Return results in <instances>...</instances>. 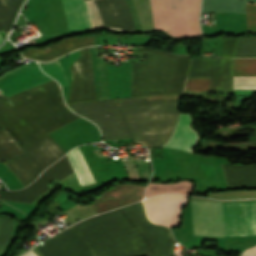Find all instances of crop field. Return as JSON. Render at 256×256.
Returning a JSON list of instances; mask_svg holds the SVG:
<instances>
[{"instance_id":"1","label":"crop field","mask_w":256,"mask_h":256,"mask_svg":"<svg viewBox=\"0 0 256 256\" xmlns=\"http://www.w3.org/2000/svg\"><path fill=\"white\" fill-rule=\"evenodd\" d=\"M180 96L133 97L68 106L97 124L104 140L134 138L148 146H159L172 134Z\"/></svg>"},{"instance_id":"2","label":"crop field","mask_w":256,"mask_h":256,"mask_svg":"<svg viewBox=\"0 0 256 256\" xmlns=\"http://www.w3.org/2000/svg\"><path fill=\"white\" fill-rule=\"evenodd\" d=\"M74 114L54 80L6 98L0 94V123L23 145L79 118Z\"/></svg>"},{"instance_id":"3","label":"crop field","mask_w":256,"mask_h":256,"mask_svg":"<svg viewBox=\"0 0 256 256\" xmlns=\"http://www.w3.org/2000/svg\"><path fill=\"white\" fill-rule=\"evenodd\" d=\"M140 54L146 65L132 62L131 96L182 93L190 57L142 47Z\"/></svg>"},{"instance_id":"4","label":"crop field","mask_w":256,"mask_h":256,"mask_svg":"<svg viewBox=\"0 0 256 256\" xmlns=\"http://www.w3.org/2000/svg\"><path fill=\"white\" fill-rule=\"evenodd\" d=\"M194 236H256V202H192Z\"/></svg>"},{"instance_id":"5","label":"crop field","mask_w":256,"mask_h":256,"mask_svg":"<svg viewBox=\"0 0 256 256\" xmlns=\"http://www.w3.org/2000/svg\"><path fill=\"white\" fill-rule=\"evenodd\" d=\"M23 148L27 153L10 159L4 164L13 171L24 187L33 182L44 168L66 154L49 134Z\"/></svg>"},{"instance_id":"6","label":"crop field","mask_w":256,"mask_h":256,"mask_svg":"<svg viewBox=\"0 0 256 256\" xmlns=\"http://www.w3.org/2000/svg\"><path fill=\"white\" fill-rule=\"evenodd\" d=\"M80 53L81 57L71 66L72 82L67 104L96 100L92 48L82 49Z\"/></svg>"},{"instance_id":"7","label":"crop field","mask_w":256,"mask_h":256,"mask_svg":"<svg viewBox=\"0 0 256 256\" xmlns=\"http://www.w3.org/2000/svg\"><path fill=\"white\" fill-rule=\"evenodd\" d=\"M71 173H73V171L66 156H64L60 161L46 169L42 175L27 188L20 191H8L1 199L31 203L49 190L46 186L55 179L60 182Z\"/></svg>"},{"instance_id":"8","label":"crop field","mask_w":256,"mask_h":256,"mask_svg":"<svg viewBox=\"0 0 256 256\" xmlns=\"http://www.w3.org/2000/svg\"><path fill=\"white\" fill-rule=\"evenodd\" d=\"M188 197L180 195H161L145 200L149 220L165 225L179 226L181 209Z\"/></svg>"},{"instance_id":"9","label":"crop field","mask_w":256,"mask_h":256,"mask_svg":"<svg viewBox=\"0 0 256 256\" xmlns=\"http://www.w3.org/2000/svg\"><path fill=\"white\" fill-rule=\"evenodd\" d=\"M52 80L43 74L34 61L0 76V90L6 95Z\"/></svg>"},{"instance_id":"10","label":"crop field","mask_w":256,"mask_h":256,"mask_svg":"<svg viewBox=\"0 0 256 256\" xmlns=\"http://www.w3.org/2000/svg\"><path fill=\"white\" fill-rule=\"evenodd\" d=\"M146 186L129 184L116 185L115 188L103 192L91 205L95 214L112 210L132 202L141 200Z\"/></svg>"},{"instance_id":"11","label":"crop field","mask_w":256,"mask_h":256,"mask_svg":"<svg viewBox=\"0 0 256 256\" xmlns=\"http://www.w3.org/2000/svg\"><path fill=\"white\" fill-rule=\"evenodd\" d=\"M94 37H78L64 39L56 44H50L45 48L36 49L29 48L22 51L21 54L29 59H37L41 61H50L58 56L71 52L81 47L93 46Z\"/></svg>"},{"instance_id":"12","label":"crop field","mask_w":256,"mask_h":256,"mask_svg":"<svg viewBox=\"0 0 256 256\" xmlns=\"http://www.w3.org/2000/svg\"><path fill=\"white\" fill-rule=\"evenodd\" d=\"M191 122L192 118L190 114H180L174 134L164 147L188 150L191 152L198 140L197 132L190 128Z\"/></svg>"},{"instance_id":"13","label":"crop field","mask_w":256,"mask_h":256,"mask_svg":"<svg viewBox=\"0 0 256 256\" xmlns=\"http://www.w3.org/2000/svg\"><path fill=\"white\" fill-rule=\"evenodd\" d=\"M62 2L71 34L91 30L83 0H62Z\"/></svg>"},{"instance_id":"14","label":"crop field","mask_w":256,"mask_h":256,"mask_svg":"<svg viewBox=\"0 0 256 256\" xmlns=\"http://www.w3.org/2000/svg\"><path fill=\"white\" fill-rule=\"evenodd\" d=\"M234 75H256V59H234ZM234 89H256V76H234Z\"/></svg>"},{"instance_id":"15","label":"crop field","mask_w":256,"mask_h":256,"mask_svg":"<svg viewBox=\"0 0 256 256\" xmlns=\"http://www.w3.org/2000/svg\"><path fill=\"white\" fill-rule=\"evenodd\" d=\"M67 156L81 186L95 183L78 147Z\"/></svg>"},{"instance_id":"16","label":"crop field","mask_w":256,"mask_h":256,"mask_svg":"<svg viewBox=\"0 0 256 256\" xmlns=\"http://www.w3.org/2000/svg\"><path fill=\"white\" fill-rule=\"evenodd\" d=\"M192 185L188 181L174 184L149 183L145 197H152L163 193H180L191 195Z\"/></svg>"},{"instance_id":"17","label":"crop field","mask_w":256,"mask_h":256,"mask_svg":"<svg viewBox=\"0 0 256 256\" xmlns=\"http://www.w3.org/2000/svg\"><path fill=\"white\" fill-rule=\"evenodd\" d=\"M24 153V150L8 131L3 128L0 130V161L15 157Z\"/></svg>"},{"instance_id":"18","label":"crop field","mask_w":256,"mask_h":256,"mask_svg":"<svg viewBox=\"0 0 256 256\" xmlns=\"http://www.w3.org/2000/svg\"><path fill=\"white\" fill-rule=\"evenodd\" d=\"M256 57V37H240L237 41L234 58Z\"/></svg>"},{"instance_id":"19","label":"crop field","mask_w":256,"mask_h":256,"mask_svg":"<svg viewBox=\"0 0 256 256\" xmlns=\"http://www.w3.org/2000/svg\"><path fill=\"white\" fill-rule=\"evenodd\" d=\"M40 66L43 72L57 80L60 83L61 87L69 84L58 61L42 64Z\"/></svg>"},{"instance_id":"20","label":"crop field","mask_w":256,"mask_h":256,"mask_svg":"<svg viewBox=\"0 0 256 256\" xmlns=\"http://www.w3.org/2000/svg\"><path fill=\"white\" fill-rule=\"evenodd\" d=\"M14 222L0 217V253L3 251L5 245L12 235Z\"/></svg>"},{"instance_id":"21","label":"crop field","mask_w":256,"mask_h":256,"mask_svg":"<svg viewBox=\"0 0 256 256\" xmlns=\"http://www.w3.org/2000/svg\"><path fill=\"white\" fill-rule=\"evenodd\" d=\"M208 78L187 79L185 91H204L208 89Z\"/></svg>"},{"instance_id":"22","label":"crop field","mask_w":256,"mask_h":256,"mask_svg":"<svg viewBox=\"0 0 256 256\" xmlns=\"http://www.w3.org/2000/svg\"><path fill=\"white\" fill-rule=\"evenodd\" d=\"M247 32H256V5L246 4Z\"/></svg>"},{"instance_id":"23","label":"crop field","mask_w":256,"mask_h":256,"mask_svg":"<svg viewBox=\"0 0 256 256\" xmlns=\"http://www.w3.org/2000/svg\"><path fill=\"white\" fill-rule=\"evenodd\" d=\"M241 256H256V246L246 249Z\"/></svg>"},{"instance_id":"24","label":"crop field","mask_w":256,"mask_h":256,"mask_svg":"<svg viewBox=\"0 0 256 256\" xmlns=\"http://www.w3.org/2000/svg\"><path fill=\"white\" fill-rule=\"evenodd\" d=\"M24 256H38L37 254H35L32 250L29 251L28 253H26Z\"/></svg>"},{"instance_id":"25","label":"crop field","mask_w":256,"mask_h":256,"mask_svg":"<svg viewBox=\"0 0 256 256\" xmlns=\"http://www.w3.org/2000/svg\"><path fill=\"white\" fill-rule=\"evenodd\" d=\"M3 39L0 37V42L2 41Z\"/></svg>"}]
</instances>
